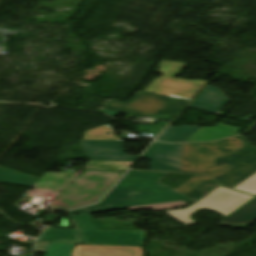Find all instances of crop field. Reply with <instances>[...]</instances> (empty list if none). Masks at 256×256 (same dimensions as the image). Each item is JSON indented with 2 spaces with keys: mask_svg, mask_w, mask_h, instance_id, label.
Returning <instances> with one entry per match:
<instances>
[{
  "mask_svg": "<svg viewBox=\"0 0 256 256\" xmlns=\"http://www.w3.org/2000/svg\"><path fill=\"white\" fill-rule=\"evenodd\" d=\"M256 171V151L241 136L184 144L181 172L208 175L231 188Z\"/></svg>",
  "mask_w": 256,
  "mask_h": 256,
  "instance_id": "obj_1",
  "label": "crop field"
},
{
  "mask_svg": "<svg viewBox=\"0 0 256 256\" xmlns=\"http://www.w3.org/2000/svg\"><path fill=\"white\" fill-rule=\"evenodd\" d=\"M167 174L129 171L124 178L96 205L67 212L68 215L101 212L131 206L150 205L191 199L157 183Z\"/></svg>",
  "mask_w": 256,
  "mask_h": 256,
  "instance_id": "obj_2",
  "label": "crop field"
},
{
  "mask_svg": "<svg viewBox=\"0 0 256 256\" xmlns=\"http://www.w3.org/2000/svg\"><path fill=\"white\" fill-rule=\"evenodd\" d=\"M86 244L142 246L146 231H101L88 214L69 216ZM51 242L83 244L75 229L49 227L36 244L35 252L46 253Z\"/></svg>",
  "mask_w": 256,
  "mask_h": 256,
  "instance_id": "obj_3",
  "label": "crop field"
},
{
  "mask_svg": "<svg viewBox=\"0 0 256 256\" xmlns=\"http://www.w3.org/2000/svg\"><path fill=\"white\" fill-rule=\"evenodd\" d=\"M234 189L256 196V174ZM235 190L220 186L188 209L165 211V213L185 225L194 223L190 219V215L200 208L210 209L227 217L254 197Z\"/></svg>",
  "mask_w": 256,
  "mask_h": 256,
  "instance_id": "obj_4",
  "label": "crop field"
},
{
  "mask_svg": "<svg viewBox=\"0 0 256 256\" xmlns=\"http://www.w3.org/2000/svg\"><path fill=\"white\" fill-rule=\"evenodd\" d=\"M185 66L184 63L162 61L158 67L160 70L155 72L163 75L155 79L144 91L191 100L208 82L174 78L181 74Z\"/></svg>",
  "mask_w": 256,
  "mask_h": 256,
  "instance_id": "obj_5",
  "label": "crop field"
},
{
  "mask_svg": "<svg viewBox=\"0 0 256 256\" xmlns=\"http://www.w3.org/2000/svg\"><path fill=\"white\" fill-rule=\"evenodd\" d=\"M189 101L138 92L128 103L106 100L101 108L131 114H178Z\"/></svg>",
  "mask_w": 256,
  "mask_h": 256,
  "instance_id": "obj_6",
  "label": "crop field"
},
{
  "mask_svg": "<svg viewBox=\"0 0 256 256\" xmlns=\"http://www.w3.org/2000/svg\"><path fill=\"white\" fill-rule=\"evenodd\" d=\"M183 144L155 142L142 156L151 160L149 170L180 172Z\"/></svg>",
  "mask_w": 256,
  "mask_h": 256,
  "instance_id": "obj_7",
  "label": "crop field"
},
{
  "mask_svg": "<svg viewBox=\"0 0 256 256\" xmlns=\"http://www.w3.org/2000/svg\"><path fill=\"white\" fill-rule=\"evenodd\" d=\"M87 160L135 161L138 157L126 156L122 141H81Z\"/></svg>",
  "mask_w": 256,
  "mask_h": 256,
  "instance_id": "obj_8",
  "label": "crop field"
},
{
  "mask_svg": "<svg viewBox=\"0 0 256 256\" xmlns=\"http://www.w3.org/2000/svg\"><path fill=\"white\" fill-rule=\"evenodd\" d=\"M140 247H107L76 245L71 256H142Z\"/></svg>",
  "mask_w": 256,
  "mask_h": 256,
  "instance_id": "obj_9",
  "label": "crop field"
},
{
  "mask_svg": "<svg viewBox=\"0 0 256 256\" xmlns=\"http://www.w3.org/2000/svg\"><path fill=\"white\" fill-rule=\"evenodd\" d=\"M227 103L228 99L221 90L207 86L189 106L219 113Z\"/></svg>",
  "mask_w": 256,
  "mask_h": 256,
  "instance_id": "obj_10",
  "label": "crop field"
},
{
  "mask_svg": "<svg viewBox=\"0 0 256 256\" xmlns=\"http://www.w3.org/2000/svg\"><path fill=\"white\" fill-rule=\"evenodd\" d=\"M254 221H256V197L218 223V225L245 229Z\"/></svg>",
  "mask_w": 256,
  "mask_h": 256,
  "instance_id": "obj_11",
  "label": "crop field"
},
{
  "mask_svg": "<svg viewBox=\"0 0 256 256\" xmlns=\"http://www.w3.org/2000/svg\"><path fill=\"white\" fill-rule=\"evenodd\" d=\"M216 185H218V183L214 182L209 177L194 176L175 191L196 200Z\"/></svg>",
  "mask_w": 256,
  "mask_h": 256,
  "instance_id": "obj_12",
  "label": "crop field"
},
{
  "mask_svg": "<svg viewBox=\"0 0 256 256\" xmlns=\"http://www.w3.org/2000/svg\"><path fill=\"white\" fill-rule=\"evenodd\" d=\"M237 128L218 123L215 127H201L186 142L211 141L236 134Z\"/></svg>",
  "mask_w": 256,
  "mask_h": 256,
  "instance_id": "obj_13",
  "label": "crop field"
},
{
  "mask_svg": "<svg viewBox=\"0 0 256 256\" xmlns=\"http://www.w3.org/2000/svg\"><path fill=\"white\" fill-rule=\"evenodd\" d=\"M199 128L198 126L191 125L168 127L157 140L164 142H185Z\"/></svg>",
  "mask_w": 256,
  "mask_h": 256,
  "instance_id": "obj_14",
  "label": "crop field"
},
{
  "mask_svg": "<svg viewBox=\"0 0 256 256\" xmlns=\"http://www.w3.org/2000/svg\"><path fill=\"white\" fill-rule=\"evenodd\" d=\"M39 178L0 167V182L31 187Z\"/></svg>",
  "mask_w": 256,
  "mask_h": 256,
  "instance_id": "obj_15",
  "label": "crop field"
},
{
  "mask_svg": "<svg viewBox=\"0 0 256 256\" xmlns=\"http://www.w3.org/2000/svg\"><path fill=\"white\" fill-rule=\"evenodd\" d=\"M82 140H123V138H117L109 124H106L84 132Z\"/></svg>",
  "mask_w": 256,
  "mask_h": 256,
  "instance_id": "obj_16",
  "label": "crop field"
},
{
  "mask_svg": "<svg viewBox=\"0 0 256 256\" xmlns=\"http://www.w3.org/2000/svg\"><path fill=\"white\" fill-rule=\"evenodd\" d=\"M74 244L51 243L45 256H69Z\"/></svg>",
  "mask_w": 256,
  "mask_h": 256,
  "instance_id": "obj_17",
  "label": "crop field"
},
{
  "mask_svg": "<svg viewBox=\"0 0 256 256\" xmlns=\"http://www.w3.org/2000/svg\"><path fill=\"white\" fill-rule=\"evenodd\" d=\"M187 204L180 201L175 203H167V204H159V205H150V206H140V207H132L129 208V210L132 209H144V208H151L153 211H164L168 209H174L179 207H185Z\"/></svg>",
  "mask_w": 256,
  "mask_h": 256,
  "instance_id": "obj_18",
  "label": "crop field"
},
{
  "mask_svg": "<svg viewBox=\"0 0 256 256\" xmlns=\"http://www.w3.org/2000/svg\"><path fill=\"white\" fill-rule=\"evenodd\" d=\"M168 125L167 122L159 121L156 125H139L138 131H162Z\"/></svg>",
  "mask_w": 256,
  "mask_h": 256,
  "instance_id": "obj_19",
  "label": "crop field"
},
{
  "mask_svg": "<svg viewBox=\"0 0 256 256\" xmlns=\"http://www.w3.org/2000/svg\"><path fill=\"white\" fill-rule=\"evenodd\" d=\"M256 150V149H255Z\"/></svg>",
  "mask_w": 256,
  "mask_h": 256,
  "instance_id": "obj_20",
  "label": "crop field"
}]
</instances>
